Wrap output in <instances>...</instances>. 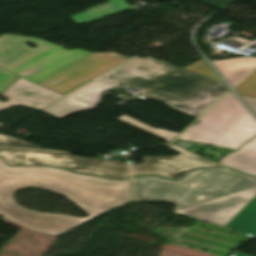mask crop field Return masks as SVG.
<instances>
[{
  "label": "crop field",
  "mask_w": 256,
  "mask_h": 256,
  "mask_svg": "<svg viewBox=\"0 0 256 256\" xmlns=\"http://www.w3.org/2000/svg\"><path fill=\"white\" fill-rule=\"evenodd\" d=\"M25 187L61 194L89 215L78 218L32 212L15 203L13 193ZM132 200L130 181H110L49 167H7L0 159V216L32 231L62 234Z\"/></svg>",
  "instance_id": "crop-field-1"
},
{
  "label": "crop field",
  "mask_w": 256,
  "mask_h": 256,
  "mask_svg": "<svg viewBox=\"0 0 256 256\" xmlns=\"http://www.w3.org/2000/svg\"><path fill=\"white\" fill-rule=\"evenodd\" d=\"M131 188L133 200L170 202L176 205L174 212L224 226L256 194V178L213 168L179 182L134 178Z\"/></svg>",
  "instance_id": "crop-field-2"
},
{
  "label": "crop field",
  "mask_w": 256,
  "mask_h": 256,
  "mask_svg": "<svg viewBox=\"0 0 256 256\" xmlns=\"http://www.w3.org/2000/svg\"><path fill=\"white\" fill-rule=\"evenodd\" d=\"M100 79L121 88L135 86L142 95L195 118L229 90L223 83L150 57H136Z\"/></svg>",
  "instance_id": "crop-field-3"
},
{
  "label": "crop field",
  "mask_w": 256,
  "mask_h": 256,
  "mask_svg": "<svg viewBox=\"0 0 256 256\" xmlns=\"http://www.w3.org/2000/svg\"><path fill=\"white\" fill-rule=\"evenodd\" d=\"M35 44V48L25 46ZM91 52L66 50L44 40L11 34L0 35V67L35 83Z\"/></svg>",
  "instance_id": "crop-field-4"
},
{
  "label": "crop field",
  "mask_w": 256,
  "mask_h": 256,
  "mask_svg": "<svg viewBox=\"0 0 256 256\" xmlns=\"http://www.w3.org/2000/svg\"><path fill=\"white\" fill-rule=\"evenodd\" d=\"M198 121L202 123L192 125L179 138L237 149L256 135V119L233 93H228Z\"/></svg>",
  "instance_id": "crop-field-5"
},
{
  "label": "crop field",
  "mask_w": 256,
  "mask_h": 256,
  "mask_svg": "<svg viewBox=\"0 0 256 256\" xmlns=\"http://www.w3.org/2000/svg\"><path fill=\"white\" fill-rule=\"evenodd\" d=\"M0 156H3L7 163L12 165L47 164L110 178L130 176V164H125L122 161L86 159L62 152L2 148H0Z\"/></svg>",
  "instance_id": "crop-field-6"
},
{
  "label": "crop field",
  "mask_w": 256,
  "mask_h": 256,
  "mask_svg": "<svg viewBox=\"0 0 256 256\" xmlns=\"http://www.w3.org/2000/svg\"><path fill=\"white\" fill-rule=\"evenodd\" d=\"M127 59L112 51L108 53H92L38 84L64 95Z\"/></svg>",
  "instance_id": "crop-field-7"
},
{
  "label": "crop field",
  "mask_w": 256,
  "mask_h": 256,
  "mask_svg": "<svg viewBox=\"0 0 256 256\" xmlns=\"http://www.w3.org/2000/svg\"><path fill=\"white\" fill-rule=\"evenodd\" d=\"M165 146L180 152V155L175 157L143 158L144 164H132V175L157 174L162 177H173L177 173L183 172L189 168L218 165L215 162L199 157L172 143Z\"/></svg>",
  "instance_id": "crop-field-8"
},
{
  "label": "crop field",
  "mask_w": 256,
  "mask_h": 256,
  "mask_svg": "<svg viewBox=\"0 0 256 256\" xmlns=\"http://www.w3.org/2000/svg\"><path fill=\"white\" fill-rule=\"evenodd\" d=\"M113 87L94 80L42 111L61 119L72 112L94 108L98 105L102 93Z\"/></svg>",
  "instance_id": "crop-field-9"
},
{
  "label": "crop field",
  "mask_w": 256,
  "mask_h": 256,
  "mask_svg": "<svg viewBox=\"0 0 256 256\" xmlns=\"http://www.w3.org/2000/svg\"><path fill=\"white\" fill-rule=\"evenodd\" d=\"M0 95L9 99L0 102V110L13 105L38 109L62 96L23 78L16 80Z\"/></svg>",
  "instance_id": "crop-field-10"
},
{
  "label": "crop field",
  "mask_w": 256,
  "mask_h": 256,
  "mask_svg": "<svg viewBox=\"0 0 256 256\" xmlns=\"http://www.w3.org/2000/svg\"><path fill=\"white\" fill-rule=\"evenodd\" d=\"M222 165L256 176V137L246 143L240 150L228 154Z\"/></svg>",
  "instance_id": "crop-field-11"
},
{
  "label": "crop field",
  "mask_w": 256,
  "mask_h": 256,
  "mask_svg": "<svg viewBox=\"0 0 256 256\" xmlns=\"http://www.w3.org/2000/svg\"><path fill=\"white\" fill-rule=\"evenodd\" d=\"M225 79L234 86L256 66V58L238 57L223 61H211Z\"/></svg>",
  "instance_id": "crop-field-12"
},
{
  "label": "crop field",
  "mask_w": 256,
  "mask_h": 256,
  "mask_svg": "<svg viewBox=\"0 0 256 256\" xmlns=\"http://www.w3.org/2000/svg\"><path fill=\"white\" fill-rule=\"evenodd\" d=\"M225 226L253 236L256 233V195Z\"/></svg>",
  "instance_id": "crop-field-13"
},
{
  "label": "crop field",
  "mask_w": 256,
  "mask_h": 256,
  "mask_svg": "<svg viewBox=\"0 0 256 256\" xmlns=\"http://www.w3.org/2000/svg\"><path fill=\"white\" fill-rule=\"evenodd\" d=\"M129 8L125 0H109L107 3L88 8L84 13L70 16L77 24Z\"/></svg>",
  "instance_id": "crop-field-14"
},
{
  "label": "crop field",
  "mask_w": 256,
  "mask_h": 256,
  "mask_svg": "<svg viewBox=\"0 0 256 256\" xmlns=\"http://www.w3.org/2000/svg\"><path fill=\"white\" fill-rule=\"evenodd\" d=\"M117 119L121 120V121H123V122H125L127 124H130V125H132L134 127H137V128H139V129H141L143 131H146V132H148L150 134H153V135H155V136H157L159 138H162V139H164L166 141H170L176 135H178V133H174V132H171V131H167V130H163V129H158V128H153V127L148 126L146 124H143V123H141L139 121H136V120H134L132 118H129V117L125 116V115H123V116H121V117H119Z\"/></svg>",
  "instance_id": "crop-field-15"
},
{
  "label": "crop field",
  "mask_w": 256,
  "mask_h": 256,
  "mask_svg": "<svg viewBox=\"0 0 256 256\" xmlns=\"http://www.w3.org/2000/svg\"><path fill=\"white\" fill-rule=\"evenodd\" d=\"M234 89L239 95L256 98V70Z\"/></svg>",
  "instance_id": "crop-field-16"
},
{
  "label": "crop field",
  "mask_w": 256,
  "mask_h": 256,
  "mask_svg": "<svg viewBox=\"0 0 256 256\" xmlns=\"http://www.w3.org/2000/svg\"><path fill=\"white\" fill-rule=\"evenodd\" d=\"M184 69L199 74L201 76L222 82L203 59L185 67Z\"/></svg>",
  "instance_id": "crop-field-17"
},
{
  "label": "crop field",
  "mask_w": 256,
  "mask_h": 256,
  "mask_svg": "<svg viewBox=\"0 0 256 256\" xmlns=\"http://www.w3.org/2000/svg\"><path fill=\"white\" fill-rule=\"evenodd\" d=\"M0 146L6 147H27V148H39V145L31 144L28 142L20 141L17 139L9 138L3 135H0Z\"/></svg>",
  "instance_id": "crop-field-18"
},
{
  "label": "crop field",
  "mask_w": 256,
  "mask_h": 256,
  "mask_svg": "<svg viewBox=\"0 0 256 256\" xmlns=\"http://www.w3.org/2000/svg\"><path fill=\"white\" fill-rule=\"evenodd\" d=\"M19 76L0 68V93L12 84Z\"/></svg>",
  "instance_id": "crop-field-19"
},
{
  "label": "crop field",
  "mask_w": 256,
  "mask_h": 256,
  "mask_svg": "<svg viewBox=\"0 0 256 256\" xmlns=\"http://www.w3.org/2000/svg\"><path fill=\"white\" fill-rule=\"evenodd\" d=\"M210 6L220 8L232 0H197Z\"/></svg>",
  "instance_id": "crop-field-20"
},
{
  "label": "crop field",
  "mask_w": 256,
  "mask_h": 256,
  "mask_svg": "<svg viewBox=\"0 0 256 256\" xmlns=\"http://www.w3.org/2000/svg\"><path fill=\"white\" fill-rule=\"evenodd\" d=\"M244 100L247 102V104L252 108V110L256 113V100L244 98Z\"/></svg>",
  "instance_id": "crop-field-21"
},
{
  "label": "crop field",
  "mask_w": 256,
  "mask_h": 256,
  "mask_svg": "<svg viewBox=\"0 0 256 256\" xmlns=\"http://www.w3.org/2000/svg\"><path fill=\"white\" fill-rule=\"evenodd\" d=\"M233 256H251V255H245V254H240V253L236 252Z\"/></svg>",
  "instance_id": "crop-field-22"
}]
</instances>
